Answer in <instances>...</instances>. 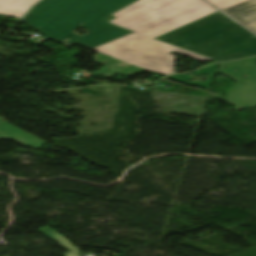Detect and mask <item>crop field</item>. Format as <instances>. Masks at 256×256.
Listing matches in <instances>:
<instances>
[{
    "label": "crop field",
    "mask_w": 256,
    "mask_h": 256,
    "mask_svg": "<svg viewBox=\"0 0 256 256\" xmlns=\"http://www.w3.org/2000/svg\"><path fill=\"white\" fill-rule=\"evenodd\" d=\"M216 65L206 67V68H203V69H201L197 72H194V74H200V75L208 74V79H207L206 83L198 82V81L190 83L187 80L192 79V78L190 76H185V75H174V76H170V78L173 79V80L181 81V82H183L187 85H198V86L208 90L209 87H210V84L212 82L213 76H214Z\"/></svg>",
    "instance_id": "5a996713"
},
{
    "label": "crop field",
    "mask_w": 256,
    "mask_h": 256,
    "mask_svg": "<svg viewBox=\"0 0 256 256\" xmlns=\"http://www.w3.org/2000/svg\"><path fill=\"white\" fill-rule=\"evenodd\" d=\"M251 34L218 11L155 39L225 61L256 55Z\"/></svg>",
    "instance_id": "34b2d1b8"
},
{
    "label": "crop field",
    "mask_w": 256,
    "mask_h": 256,
    "mask_svg": "<svg viewBox=\"0 0 256 256\" xmlns=\"http://www.w3.org/2000/svg\"><path fill=\"white\" fill-rule=\"evenodd\" d=\"M1 16V15H0Z\"/></svg>",
    "instance_id": "22f410ed"
},
{
    "label": "crop field",
    "mask_w": 256,
    "mask_h": 256,
    "mask_svg": "<svg viewBox=\"0 0 256 256\" xmlns=\"http://www.w3.org/2000/svg\"><path fill=\"white\" fill-rule=\"evenodd\" d=\"M135 0H42L22 20L41 34L66 47L75 43L92 49L129 31L101 20ZM83 23V25H79ZM78 26L87 30L81 37L72 31ZM70 38L64 43L65 39Z\"/></svg>",
    "instance_id": "ac0d7876"
},
{
    "label": "crop field",
    "mask_w": 256,
    "mask_h": 256,
    "mask_svg": "<svg viewBox=\"0 0 256 256\" xmlns=\"http://www.w3.org/2000/svg\"><path fill=\"white\" fill-rule=\"evenodd\" d=\"M254 62H256V61H254Z\"/></svg>",
    "instance_id": "d1516ede"
},
{
    "label": "crop field",
    "mask_w": 256,
    "mask_h": 256,
    "mask_svg": "<svg viewBox=\"0 0 256 256\" xmlns=\"http://www.w3.org/2000/svg\"><path fill=\"white\" fill-rule=\"evenodd\" d=\"M208 1L212 3L214 6H216L218 9L222 10L224 8L230 7L232 5L238 4L246 0H208Z\"/></svg>",
    "instance_id": "3316defc"
},
{
    "label": "crop field",
    "mask_w": 256,
    "mask_h": 256,
    "mask_svg": "<svg viewBox=\"0 0 256 256\" xmlns=\"http://www.w3.org/2000/svg\"><path fill=\"white\" fill-rule=\"evenodd\" d=\"M38 0H0V14L21 18Z\"/></svg>",
    "instance_id": "e52e79f7"
},
{
    "label": "crop field",
    "mask_w": 256,
    "mask_h": 256,
    "mask_svg": "<svg viewBox=\"0 0 256 256\" xmlns=\"http://www.w3.org/2000/svg\"><path fill=\"white\" fill-rule=\"evenodd\" d=\"M0 121H2V119H0Z\"/></svg>",
    "instance_id": "28ad6ade"
},
{
    "label": "crop field",
    "mask_w": 256,
    "mask_h": 256,
    "mask_svg": "<svg viewBox=\"0 0 256 256\" xmlns=\"http://www.w3.org/2000/svg\"><path fill=\"white\" fill-rule=\"evenodd\" d=\"M216 11L202 0H139L111 21L135 32L92 50L162 75L174 73L173 51L201 62L212 59L153 38Z\"/></svg>",
    "instance_id": "8a807250"
},
{
    "label": "crop field",
    "mask_w": 256,
    "mask_h": 256,
    "mask_svg": "<svg viewBox=\"0 0 256 256\" xmlns=\"http://www.w3.org/2000/svg\"><path fill=\"white\" fill-rule=\"evenodd\" d=\"M0 139H13L19 143L39 149L46 142L5 122L0 124Z\"/></svg>",
    "instance_id": "dd49c442"
},
{
    "label": "crop field",
    "mask_w": 256,
    "mask_h": 256,
    "mask_svg": "<svg viewBox=\"0 0 256 256\" xmlns=\"http://www.w3.org/2000/svg\"><path fill=\"white\" fill-rule=\"evenodd\" d=\"M255 58L219 64L221 67H227L221 70V73L237 82L226 96L228 103L234 105L236 109L256 105V64L252 62ZM233 68H236L238 72L232 70ZM242 73L250 74V76L241 77Z\"/></svg>",
    "instance_id": "412701ff"
},
{
    "label": "crop field",
    "mask_w": 256,
    "mask_h": 256,
    "mask_svg": "<svg viewBox=\"0 0 256 256\" xmlns=\"http://www.w3.org/2000/svg\"><path fill=\"white\" fill-rule=\"evenodd\" d=\"M222 11L256 33V0H248Z\"/></svg>",
    "instance_id": "f4fd0767"
},
{
    "label": "crop field",
    "mask_w": 256,
    "mask_h": 256,
    "mask_svg": "<svg viewBox=\"0 0 256 256\" xmlns=\"http://www.w3.org/2000/svg\"><path fill=\"white\" fill-rule=\"evenodd\" d=\"M49 238L53 239L63 247L67 248L70 250V253L64 254V256H80V249L76 248L73 244H71L66 238H64L60 233H58L56 230L45 226L39 230H37Z\"/></svg>",
    "instance_id": "d8731c3e"
}]
</instances>
